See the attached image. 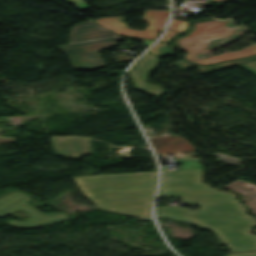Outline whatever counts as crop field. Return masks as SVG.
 Returning a JSON list of instances; mask_svg holds the SVG:
<instances>
[{
	"label": "crop field",
	"instance_id": "crop-field-10",
	"mask_svg": "<svg viewBox=\"0 0 256 256\" xmlns=\"http://www.w3.org/2000/svg\"><path fill=\"white\" fill-rule=\"evenodd\" d=\"M222 188L238 191L242 194V198L251 209V211L256 215V187L237 180L231 184H228ZM256 232V230H255Z\"/></svg>",
	"mask_w": 256,
	"mask_h": 256
},
{
	"label": "crop field",
	"instance_id": "crop-field-12",
	"mask_svg": "<svg viewBox=\"0 0 256 256\" xmlns=\"http://www.w3.org/2000/svg\"><path fill=\"white\" fill-rule=\"evenodd\" d=\"M168 28L176 30L178 32L167 29L163 38L160 41H170L171 37H173V36L179 34L180 32L188 29V22L172 19Z\"/></svg>",
	"mask_w": 256,
	"mask_h": 256
},
{
	"label": "crop field",
	"instance_id": "crop-field-8",
	"mask_svg": "<svg viewBox=\"0 0 256 256\" xmlns=\"http://www.w3.org/2000/svg\"><path fill=\"white\" fill-rule=\"evenodd\" d=\"M56 154L78 159L84 154H92L90 139L80 137L51 138Z\"/></svg>",
	"mask_w": 256,
	"mask_h": 256
},
{
	"label": "crop field",
	"instance_id": "crop-field-14",
	"mask_svg": "<svg viewBox=\"0 0 256 256\" xmlns=\"http://www.w3.org/2000/svg\"><path fill=\"white\" fill-rule=\"evenodd\" d=\"M166 43L157 42L149 51L157 56L171 54V48H166Z\"/></svg>",
	"mask_w": 256,
	"mask_h": 256
},
{
	"label": "crop field",
	"instance_id": "crop-field-9",
	"mask_svg": "<svg viewBox=\"0 0 256 256\" xmlns=\"http://www.w3.org/2000/svg\"><path fill=\"white\" fill-rule=\"evenodd\" d=\"M156 154L191 151L195 147L178 134L149 138Z\"/></svg>",
	"mask_w": 256,
	"mask_h": 256
},
{
	"label": "crop field",
	"instance_id": "crop-field-1",
	"mask_svg": "<svg viewBox=\"0 0 256 256\" xmlns=\"http://www.w3.org/2000/svg\"><path fill=\"white\" fill-rule=\"evenodd\" d=\"M173 197L199 203L198 211L181 207L155 209L156 215L178 213L185 222L212 230L230 251L256 250V235L248 232L256 225L232 193L212 188L201 181L200 168L162 172L158 198Z\"/></svg>",
	"mask_w": 256,
	"mask_h": 256
},
{
	"label": "crop field",
	"instance_id": "crop-field-15",
	"mask_svg": "<svg viewBox=\"0 0 256 256\" xmlns=\"http://www.w3.org/2000/svg\"><path fill=\"white\" fill-rule=\"evenodd\" d=\"M69 2L76 4L79 10L86 9L88 6L82 0H68Z\"/></svg>",
	"mask_w": 256,
	"mask_h": 256
},
{
	"label": "crop field",
	"instance_id": "crop-field-7",
	"mask_svg": "<svg viewBox=\"0 0 256 256\" xmlns=\"http://www.w3.org/2000/svg\"><path fill=\"white\" fill-rule=\"evenodd\" d=\"M159 58L147 52L128 71L137 89L146 91L152 95H159L164 92L160 86L146 82L150 69L158 64Z\"/></svg>",
	"mask_w": 256,
	"mask_h": 256
},
{
	"label": "crop field",
	"instance_id": "crop-field-11",
	"mask_svg": "<svg viewBox=\"0 0 256 256\" xmlns=\"http://www.w3.org/2000/svg\"><path fill=\"white\" fill-rule=\"evenodd\" d=\"M256 60V55L255 56H251V57H247V58H242V59H238V60H233V61H228V62H223V63H219L216 65H212V66H208V67H203V66H199L190 62H184V61H178L176 63H173L175 66L187 70L193 66H196L199 71L204 74V73H208V72H212L215 70H219V69H223L226 67H230V66H234V65H239V64H243V63H247V62H251V61H255Z\"/></svg>",
	"mask_w": 256,
	"mask_h": 256
},
{
	"label": "crop field",
	"instance_id": "crop-field-4",
	"mask_svg": "<svg viewBox=\"0 0 256 256\" xmlns=\"http://www.w3.org/2000/svg\"><path fill=\"white\" fill-rule=\"evenodd\" d=\"M122 39L89 21L70 29L69 44L56 48L69 55L75 69L94 70L104 66L98 50L115 46Z\"/></svg>",
	"mask_w": 256,
	"mask_h": 256
},
{
	"label": "crop field",
	"instance_id": "crop-field-16",
	"mask_svg": "<svg viewBox=\"0 0 256 256\" xmlns=\"http://www.w3.org/2000/svg\"><path fill=\"white\" fill-rule=\"evenodd\" d=\"M228 256H256V252L255 253H238V254H230Z\"/></svg>",
	"mask_w": 256,
	"mask_h": 256
},
{
	"label": "crop field",
	"instance_id": "crop-field-6",
	"mask_svg": "<svg viewBox=\"0 0 256 256\" xmlns=\"http://www.w3.org/2000/svg\"><path fill=\"white\" fill-rule=\"evenodd\" d=\"M170 10H146L142 19L149 23L144 31H134L124 22V16L101 18L95 22L107 27L118 35H130L156 40L158 32L162 31Z\"/></svg>",
	"mask_w": 256,
	"mask_h": 256
},
{
	"label": "crop field",
	"instance_id": "crop-field-17",
	"mask_svg": "<svg viewBox=\"0 0 256 256\" xmlns=\"http://www.w3.org/2000/svg\"><path fill=\"white\" fill-rule=\"evenodd\" d=\"M126 38H131V37H127V36H126ZM133 39H136V38H133ZM138 40L143 41V42H144V43H143V46H145V47H147V46H149L151 43H153V41L142 40V39H138Z\"/></svg>",
	"mask_w": 256,
	"mask_h": 256
},
{
	"label": "crop field",
	"instance_id": "crop-field-13",
	"mask_svg": "<svg viewBox=\"0 0 256 256\" xmlns=\"http://www.w3.org/2000/svg\"><path fill=\"white\" fill-rule=\"evenodd\" d=\"M210 155L218 157L216 159V161H220V162H223V163H227V164H231V165H234V166L241 167L240 162L242 161V158L230 156V155L219 153V152L214 153V154H210Z\"/></svg>",
	"mask_w": 256,
	"mask_h": 256
},
{
	"label": "crop field",
	"instance_id": "crop-field-18",
	"mask_svg": "<svg viewBox=\"0 0 256 256\" xmlns=\"http://www.w3.org/2000/svg\"><path fill=\"white\" fill-rule=\"evenodd\" d=\"M213 1H232V0H213Z\"/></svg>",
	"mask_w": 256,
	"mask_h": 256
},
{
	"label": "crop field",
	"instance_id": "crop-field-5",
	"mask_svg": "<svg viewBox=\"0 0 256 256\" xmlns=\"http://www.w3.org/2000/svg\"><path fill=\"white\" fill-rule=\"evenodd\" d=\"M29 199V196L19 191L12 192L0 198V216H4L14 210L28 213L29 217L25 221L8 222L9 225L20 228H35L69 219L60 213L43 214L26 204V201Z\"/></svg>",
	"mask_w": 256,
	"mask_h": 256
},
{
	"label": "crop field",
	"instance_id": "crop-field-2",
	"mask_svg": "<svg viewBox=\"0 0 256 256\" xmlns=\"http://www.w3.org/2000/svg\"><path fill=\"white\" fill-rule=\"evenodd\" d=\"M83 194L98 208L151 217L157 172L72 177Z\"/></svg>",
	"mask_w": 256,
	"mask_h": 256
},
{
	"label": "crop field",
	"instance_id": "crop-field-3",
	"mask_svg": "<svg viewBox=\"0 0 256 256\" xmlns=\"http://www.w3.org/2000/svg\"><path fill=\"white\" fill-rule=\"evenodd\" d=\"M247 30L242 26H235L231 20L218 21L215 19L193 22V30L182 38L175 39L180 50L189 54L184 56L201 65H208L234 58L256 54V44L242 50L213 57L211 51L224 47Z\"/></svg>",
	"mask_w": 256,
	"mask_h": 256
}]
</instances>
